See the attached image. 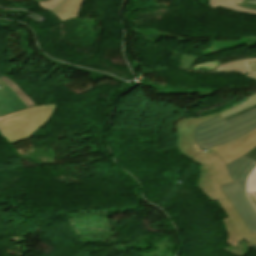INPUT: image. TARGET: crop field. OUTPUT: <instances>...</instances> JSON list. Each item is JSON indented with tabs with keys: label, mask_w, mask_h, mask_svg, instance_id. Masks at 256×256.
I'll use <instances>...</instances> for the list:
<instances>
[{
	"label": "crop field",
	"mask_w": 256,
	"mask_h": 256,
	"mask_svg": "<svg viewBox=\"0 0 256 256\" xmlns=\"http://www.w3.org/2000/svg\"><path fill=\"white\" fill-rule=\"evenodd\" d=\"M256 128V109L228 122L220 116L199 125L195 139L201 150L225 144Z\"/></svg>",
	"instance_id": "8a807250"
},
{
	"label": "crop field",
	"mask_w": 256,
	"mask_h": 256,
	"mask_svg": "<svg viewBox=\"0 0 256 256\" xmlns=\"http://www.w3.org/2000/svg\"><path fill=\"white\" fill-rule=\"evenodd\" d=\"M56 105L39 106L1 117L0 128L10 143L28 138L47 124Z\"/></svg>",
	"instance_id": "ac0d7876"
},
{
	"label": "crop field",
	"mask_w": 256,
	"mask_h": 256,
	"mask_svg": "<svg viewBox=\"0 0 256 256\" xmlns=\"http://www.w3.org/2000/svg\"><path fill=\"white\" fill-rule=\"evenodd\" d=\"M201 165L200 184L202 191L213 201L226 199L219 186L233 182L222 158L209 149L191 158Z\"/></svg>",
	"instance_id": "34b2d1b8"
},
{
	"label": "crop field",
	"mask_w": 256,
	"mask_h": 256,
	"mask_svg": "<svg viewBox=\"0 0 256 256\" xmlns=\"http://www.w3.org/2000/svg\"><path fill=\"white\" fill-rule=\"evenodd\" d=\"M216 116H218L217 113L203 117H190L177 122V138L175 142L176 149L181 154L189 158L201 153L202 151L198 148L194 140V130L200 123L210 120Z\"/></svg>",
	"instance_id": "412701ff"
},
{
	"label": "crop field",
	"mask_w": 256,
	"mask_h": 256,
	"mask_svg": "<svg viewBox=\"0 0 256 256\" xmlns=\"http://www.w3.org/2000/svg\"><path fill=\"white\" fill-rule=\"evenodd\" d=\"M219 204L228 216V218L223 219L228 233V241L226 243L234 247L243 240L256 244V234L250 231L229 199L219 201Z\"/></svg>",
	"instance_id": "f4fd0767"
},
{
	"label": "crop field",
	"mask_w": 256,
	"mask_h": 256,
	"mask_svg": "<svg viewBox=\"0 0 256 256\" xmlns=\"http://www.w3.org/2000/svg\"><path fill=\"white\" fill-rule=\"evenodd\" d=\"M221 189L230 199L239 215L253 233H256V210L252 207L248 197L242 191L238 181L221 186Z\"/></svg>",
	"instance_id": "dd49c442"
},
{
	"label": "crop field",
	"mask_w": 256,
	"mask_h": 256,
	"mask_svg": "<svg viewBox=\"0 0 256 256\" xmlns=\"http://www.w3.org/2000/svg\"><path fill=\"white\" fill-rule=\"evenodd\" d=\"M256 146V130L225 145L212 148L229 164Z\"/></svg>",
	"instance_id": "e52e79f7"
},
{
	"label": "crop field",
	"mask_w": 256,
	"mask_h": 256,
	"mask_svg": "<svg viewBox=\"0 0 256 256\" xmlns=\"http://www.w3.org/2000/svg\"><path fill=\"white\" fill-rule=\"evenodd\" d=\"M0 117L11 112L28 108L11 88L0 80Z\"/></svg>",
	"instance_id": "d8731c3e"
},
{
	"label": "crop field",
	"mask_w": 256,
	"mask_h": 256,
	"mask_svg": "<svg viewBox=\"0 0 256 256\" xmlns=\"http://www.w3.org/2000/svg\"><path fill=\"white\" fill-rule=\"evenodd\" d=\"M255 165H256V161L246 156H242L239 159L232 162L231 164L227 165L228 171L233 181L238 180L244 192H245L246 178L251 172V170L255 167Z\"/></svg>",
	"instance_id": "5a996713"
},
{
	"label": "crop field",
	"mask_w": 256,
	"mask_h": 256,
	"mask_svg": "<svg viewBox=\"0 0 256 256\" xmlns=\"http://www.w3.org/2000/svg\"><path fill=\"white\" fill-rule=\"evenodd\" d=\"M84 0H65L57 8L50 10L61 22L78 17Z\"/></svg>",
	"instance_id": "3316defc"
},
{
	"label": "crop field",
	"mask_w": 256,
	"mask_h": 256,
	"mask_svg": "<svg viewBox=\"0 0 256 256\" xmlns=\"http://www.w3.org/2000/svg\"><path fill=\"white\" fill-rule=\"evenodd\" d=\"M245 77L256 80V74L247 73L245 75ZM242 101H245V104H242ZM254 105H256V94L251 95V96L239 101L235 105H232L228 108H225V109H223V110H221L217 113H219L220 116H222L224 118L226 116H229V115H232L234 113L240 112V111H242L244 109H247V108H249L251 106H254Z\"/></svg>",
	"instance_id": "28ad6ade"
},
{
	"label": "crop field",
	"mask_w": 256,
	"mask_h": 256,
	"mask_svg": "<svg viewBox=\"0 0 256 256\" xmlns=\"http://www.w3.org/2000/svg\"><path fill=\"white\" fill-rule=\"evenodd\" d=\"M248 62H256V58H249L237 61H231L223 63L216 71H241V72H252Z\"/></svg>",
	"instance_id": "d1516ede"
},
{
	"label": "crop field",
	"mask_w": 256,
	"mask_h": 256,
	"mask_svg": "<svg viewBox=\"0 0 256 256\" xmlns=\"http://www.w3.org/2000/svg\"><path fill=\"white\" fill-rule=\"evenodd\" d=\"M0 79L3 80L6 84H8L15 93H17L29 108L35 107L33 101L30 100L28 96L14 82H12L4 76H1Z\"/></svg>",
	"instance_id": "22f410ed"
},
{
	"label": "crop field",
	"mask_w": 256,
	"mask_h": 256,
	"mask_svg": "<svg viewBox=\"0 0 256 256\" xmlns=\"http://www.w3.org/2000/svg\"><path fill=\"white\" fill-rule=\"evenodd\" d=\"M243 0H209L208 4L211 8L241 3Z\"/></svg>",
	"instance_id": "cbeb9de0"
},
{
	"label": "crop field",
	"mask_w": 256,
	"mask_h": 256,
	"mask_svg": "<svg viewBox=\"0 0 256 256\" xmlns=\"http://www.w3.org/2000/svg\"><path fill=\"white\" fill-rule=\"evenodd\" d=\"M198 58L197 57H191V56H185L183 55L181 58V65L182 69H188L190 70V66L194 61H196ZM187 70V71H188Z\"/></svg>",
	"instance_id": "5142ce71"
},
{
	"label": "crop field",
	"mask_w": 256,
	"mask_h": 256,
	"mask_svg": "<svg viewBox=\"0 0 256 256\" xmlns=\"http://www.w3.org/2000/svg\"><path fill=\"white\" fill-rule=\"evenodd\" d=\"M249 191H256V169L252 172V174L248 178L247 192Z\"/></svg>",
	"instance_id": "d9b57169"
},
{
	"label": "crop field",
	"mask_w": 256,
	"mask_h": 256,
	"mask_svg": "<svg viewBox=\"0 0 256 256\" xmlns=\"http://www.w3.org/2000/svg\"><path fill=\"white\" fill-rule=\"evenodd\" d=\"M224 8H228V9H231V10H234V11H237V12L256 14L255 10L246 9V8H243V7H240V6H237V5L227 6V7H224Z\"/></svg>",
	"instance_id": "733c2abd"
},
{
	"label": "crop field",
	"mask_w": 256,
	"mask_h": 256,
	"mask_svg": "<svg viewBox=\"0 0 256 256\" xmlns=\"http://www.w3.org/2000/svg\"><path fill=\"white\" fill-rule=\"evenodd\" d=\"M63 0H50L48 2L39 3V5L43 6L44 8H53L60 4Z\"/></svg>",
	"instance_id": "4a817a6b"
},
{
	"label": "crop field",
	"mask_w": 256,
	"mask_h": 256,
	"mask_svg": "<svg viewBox=\"0 0 256 256\" xmlns=\"http://www.w3.org/2000/svg\"><path fill=\"white\" fill-rule=\"evenodd\" d=\"M247 194H248V196L250 197V199H251L253 205H254L255 208H256V195L254 194V192H250V193H247Z\"/></svg>",
	"instance_id": "bc2a9ffb"
},
{
	"label": "crop field",
	"mask_w": 256,
	"mask_h": 256,
	"mask_svg": "<svg viewBox=\"0 0 256 256\" xmlns=\"http://www.w3.org/2000/svg\"><path fill=\"white\" fill-rule=\"evenodd\" d=\"M246 156L256 160V148L246 154Z\"/></svg>",
	"instance_id": "214f88e0"
},
{
	"label": "crop field",
	"mask_w": 256,
	"mask_h": 256,
	"mask_svg": "<svg viewBox=\"0 0 256 256\" xmlns=\"http://www.w3.org/2000/svg\"><path fill=\"white\" fill-rule=\"evenodd\" d=\"M253 108H256V106L251 107V108H249V109H247V110H244V111H242V112H240V113L234 114V115H232V116H229V117L225 118V120L227 121V120H229V119H231V118H233V117H235V116H237V115H240V114H242V113H244V112H246V111H248V110H251V109H253Z\"/></svg>",
	"instance_id": "92a150f3"
},
{
	"label": "crop field",
	"mask_w": 256,
	"mask_h": 256,
	"mask_svg": "<svg viewBox=\"0 0 256 256\" xmlns=\"http://www.w3.org/2000/svg\"><path fill=\"white\" fill-rule=\"evenodd\" d=\"M238 5L243 6V7H247V8H251V9H256V5L255 4L243 3V4H238Z\"/></svg>",
	"instance_id": "dafd665d"
},
{
	"label": "crop field",
	"mask_w": 256,
	"mask_h": 256,
	"mask_svg": "<svg viewBox=\"0 0 256 256\" xmlns=\"http://www.w3.org/2000/svg\"><path fill=\"white\" fill-rule=\"evenodd\" d=\"M251 66V69L254 73H256V63H249Z\"/></svg>",
	"instance_id": "00972430"
},
{
	"label": "crop field",
	"mask_w": 256,
	"mask_h": 256,
	"mask_svg": "<svg viewBox=\"0 0 256 256\" xmlns=\"http://www.w3.org/2000/svg\"><path fill=\"white\" fill-rule=\"evenodd\" d=\"M250 247H251V248H256V245H251V244H250Z\"/></svg>",
	"instance_id": "a9b5d70f"
},
{
	"label": "crop field",
	"mask_w": 256,
	"mask_h": 256,
	"mask_svg": "<svg viewBox=\"0 0 256 256\" xmlns=\"http://www.w3.org/2000/svg\"><path fill=\"white\" fill-rule=\"evenodd\" d=\"M249 3H256V0H255V1H253V2H249Z\"/></svg>",
	"instance_id": "4177f3b9"
},
{
	"label": "crop field",
	"mask_w": 256,
	"mask_h": 256,
	"mask_svg": "<svg viewBox=\"0 0 256 256\" xmlns=\"http://www.w3.org/2000/svg\"><path fill=\"white\" fill-rule=\"evenodd\" d=\"M250 1V0H244L243 2Z\"/></svg>",
	"instance_id": "730fd06b"
},
{
	"label": "crop field",
	"mask_w": 256,
	"mask_h": 256,
	"mask_svg": "<svg viewBox=\"0 0 256 256\" xmlns=\"http://www.w3.org/2000/svg\"><path fill=\"white\" fill-rule=\"evenodd\" d=\"M1 75H3V74L0 73V76H1Z\"/></svg>",
	"instance_id": "eef30255"
},
{
	"label": "crop field",
	"mask_w": 256,
	"mask_h": 256,
	"mask_svg": "<svg viewBox=\"0 0 256 256\" xmlns=\"http://www.w3.org/2000/svg\"><path fill=\"white\" fill-rule=\"evenodd\" d=\"M255 194H256V192H255Z\"/></svg>",
	"instance_id": "ae1a2a85"
}]
</instances>
